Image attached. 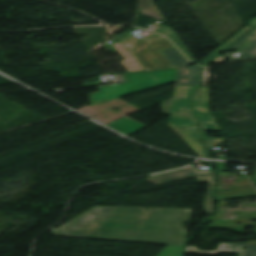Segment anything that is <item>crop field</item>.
Wrapping results in <instances>:
<instances>
[{
  "label": "crop field",
  "instance_id": "5",
  "mask_svg": "<svg viewBox=\"0 0 256 256\" xmlns=\"http://www.w3.org/2000/svg\"><path fill=\"white\" fill-rule=\"evenodd\" d=\"M198 88L199 87L176 86L170 112L169 127L177 128L198 125L191 110L189 96V94L193 93ZM185 109H189L188 113H186Z\"/></svg>",
  "mask_w": 256,
  "mask_h": 256
},
{
  "label": "crop field",
  "instance_id": "16",
  "mask_svg": "<svg viewBox=\"0 0 256 256\" xmlns=\"http://www.w3.org/2000/svg\"><path fill=\"white\" fill-rule=\"evenodd\" d=\"M183 247L166 246L157 256H181Z\"/></svg>",
  "mask_w": 256,
  "mask_h": 256
},
{
  "label": "crop field",
  "instance_id": "6",
  "mask_svg": "<svg viewBox=\"0 0 256 256\" xmlns=\"http://www.w3.org/2000/svg\"><path fill=\"white\" fill-rule=\"evenodd\" d=\"M160 52L173 67H179L176 85L199 86V67L185 68L190 63L175 47Z\"/></svg>",
  "mask_w": 256,
  "mask_h": 256
},
{
  "label": "crop field",
  "instance_id": "3",
  "mask_svg": "<svg viewBox=\"0 0 256 256\" xmlns=\"http://www.w3.org/2000/svg\"><path fill=\"white\" fill-rule=\"evenodd\" d=\"M123 39L133 46L131 54L145 70L172 67L158 51L173 47L168 40L163 39L145 43L144 40L131 34Z\"/></svg>",
  "mask_w": 256,
  "mask_h": 256
},
{
  "label": "crop field",
  "instance_id": "8",
  "mask_svg": "<svg viewBox=\"0 0 256 256\" xmlns=\"http://www.w3.org/2000/svg\"><path fill=\"white\" fill-rule=\"evenodd\" d=\"M247 246L245 250H242ZM223 252H239L238 256H256V245L220 243L214 251H199L194 246H187L185 253L215 255Z\"/></svg>",
  "mask_w": 256,
  "mask_h": 256
},
{
  "label": "crop field",
  "instance_id": "21",
  "mask_svg": "<svg viewBox=\"0 0 256 256\" xmlns=\"http://www.w3.org/2000/svg\"><path fill=\"white\" fill-rule=\"evenodd\" d=\"M164 37L162 36H156V37H153L151 39H148V40H145V42H148V41H153V40H158V39H163Z\"/></svg>",
  "mask_w": 256,
  "mask_h": 256
},
{
  "label": "crop field",
  "instance_id": "1",
  "mask_svg": "<svg viewBox=\"0 0 256 256\" xmlns=\"http://www.w3.org/2000/svg\"><path fill=\"white\" fill-rule=\"evenodd\" d=\"M191 210L94 207L62 225L56 235L183 246L180 224Z\"/></svg>",
  "mask_w": 256,
  "mask_h": 256
},
{
  "label": "crop field",
  "instance_id": "18",
  "mask_svg": "<svg viewBox=\"0 0 256 256\" xmlns=\"http://www.w3.org/2000/svg\"><path fill=\"white\" fill-rule=\"evenodd\" d=\"M171 103H172V98L162 103L164 115L169 113Z\"/></svg>",
  "mask_w": 256,
  "mask_h": 256
},
{
  "label": "crop field",
  "instance_id": "14",
  "mask_svg": "<svg viewBox=\"0 0 256 256\" xmlns=\"http://www.w3.org/2000/svg\"><path fill=\"white\" fill-rule=\"evenodd\" d=\"M238 51L244 60L256 59V36L243 47H241Z\"/></svg>",
  "mask_w": 256,
  "mask_h": 256
},
{
  "label": "crop field",
  "instance_id": "20",
  "mask_svg": "<svg viewBox=\"0 0 256 256\" xmlns=\"http://www.w3.org/2000/svg\"><path fill=\"white\" fill-rule=\"evenodd\" d=\"M120 43L128 50L129 53L131 52L132 46L129 43H127L123 39L120 40Z\"/></svg>",
  "mask_w": 256,
  "mask_h": 256
},
{
  "label": "crop field",
  "instance_id": "12",
  "mask_svg": "<svg viewBox=\"0 0 256 256\" xmlns=\"http://www.w3.org/2000/svg\"><path fill=\"white\" fill-rule=\"evenodd\" d=\"M154 31L166 35L169 39H171L178 48L192 61L195 62V59L192 57V55L189 53V51L185 48V46L182 44V42L179 40V38L176 36V34L173 32L172 29L161 26Z\"/></svg>",
  "mask_w": 256,
  "mask_h": 256
},
{
  "label": "crop field",
  "instance_id": "15",
  "mask_svg": "<svg viewBox=\"0 0 256 256\" xmlns=\"http://www.w3.org/2000/svg\"><path fill=\"white\" fill-rule=\"evenodd\" d=\"M139 6L146 16L154 17L155 19H161L156 13L153 7L150 5L149 0H140Z\"/></svg>",
  "mask_w": 256,
  "mask_h": 256
},
{
  "label": "crop field",
  "instance_id": "11",
  "mask_svg": "<svg viewBox=\"0 0 256 256\" xmlns=\"http://www.w3.org/2000/svg\"><path fill=\"white\" fill-rule=\"evenodd\" d=\"M113 46L121 54V56L126 59L125 61L121 62V64L128 71L144 70L120 43L114 44Z\"/></svg>",
  "mask_w": 256,
  "mask_h": 256
},
{
  "label": "crop field",
  "instance_id": "17",
  "mask_svg": "<svg viewBox=\"0 0 256 256\" xmlns=\"http://www.w3.org/2000/svg\"><path fill=\"white\" fill-rule=\"evenodd\" d=\"M254 33H256V25L249 31L247 32L241 39H239L232 47L229 49L233 48H239L243 43H245ZM228 49V50H229Z\"/></svg>",
  "mask_w": 256,
  "mask_h": 256
},
{
  "label": "crop field",
  "instance_id": "10",
  "mask_svg": "<svg viewBox=\"0 0 256 256\" xmlns=\"http://www.w3.org/2000/svg\"><path fill=\"white\" fill-rule=\"evenodd\" d=\"M251 27H245L240 32H238L235 36L225 42L222 46L216 49L213 53L207 56L204 60H202V66L206 67L213 59H215L218 55H220L223 51H225L228 47H230L235 41H237L241 36H243Z\"/></svg>",
  "mask_w": 256,
  "mask_h": 256
},
{
  "label": "crop field",
  "instance_id": "7",
  "mask_svg": "<svg viewBox=\"0 0 256 256\" xmlns=\"http://www.w3.org/2000/svg\"><path fill=\"white\" fill-rule=\"evenodd\" d=\"M194 111L201 125L216 123L209 113V88L201 87L192 95Z\"/></svg>",
  "mask_w": 256,
  "mask_h": 256
},
{
  "label": "crop field",
  "instance_id": "9",
  "mask_svg": "<svg viewBox=\"0 0 256 256\" xmlns=\"http://www.w3.org/2000/svg\"><path fill=\"white\" fill-rule=\"evenodd\" d=\"M173 130L199 157L209 158L201 142L197 126Z\"/></svg>",
  "mask_w": 256,
  "mask_h": 256
},
{
  "label": "crop field",
  "instance_id": "13",
  "mask_svg": "<svg viewBox=\"0 0 256 256\" xmlns=\"http://www.w3.org/2000/svg\"><path fill=\"white\" fill-rule=\"evenodd\" d=\"M202 134L204 141L208 148H213L215 146H218L221 142H224L223 138L214 139V138H208L206 131H214V130H220L217 123L212 125H204L201 126Z\"/></svg>",
  "mask_w": 256,
  "mask_h": 256
},
{
  "label": "crop field",
  "instance_id": "2",
  "mask_svg": "<svg viewBox=\"0 0 256 256\" xmlns=\"http://www.w3.org/2000/svg\"><path fill=\"white\" fill-rule=\"evenodd\" d=\"M176 73L177 68L126 73L124 75L128 83L98 87L99 92L89 95L93 105L106 102L160 85L173 83L176 79Z\"/></svg>",
  "mask_w": 256,
  "mask_h": 256
},
{
  "label": "crop field",
  "instance_id": "19",
  "mask_svg": "<svg viewBox=\"0 0 256 256\" xmlns=\"http://www.w3.org/2000/svg\"><path fill=\"white\" fill-rule=\"evenodd\" d=\"M202 86H208V71L202 69Z\"/></svg>",
  "mask_w": 256,
  "mask_h": 256
},
{
  "label": "crop field",
  "instance_id": "4",
  "mask_svg": "<svg viewBox=\"0 0 256 256\" xmlns=\"http://www.w3.org/2000/svg\"><path fill=\"white\" fill-rule=\"evenodd\" d=\"M193 177H197V183L211 182L205 201H204V205L207 213H213L212 191H213V185H214V173L212 170L197 171L192 166V167H187L183 169H178V170H173V171L153 175L148 177L145 180L155 185H159L167 182L193 178Z\"/></svg>",
  "mask_w": 256,
  "mask_h": 256
}]
</instances>
